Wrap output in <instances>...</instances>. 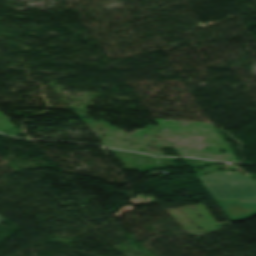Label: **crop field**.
I'll return each instance as SVG.
<instances>
[{"instance_id": "4", "label": "crop field", "mask_w": 256, "mask_h": 256, "mask_svg": "<svg viewBox=\"0 0 256 256\" xmlns=\"http://www.w3.org/2000/svg\"><path fill=\"white\" fill-rule=\"evenodd\" d=\"M256 182V181H255Z\"/></svg>"}, {"instance_id": "1", "label": "crop field", "mask_w": 256, "mask_h": 256, "mask_svg": "<svg viewBox=\"0 0 256 256\" xmlns=\"http://www.w3.org/2000/svg\"><path fill=\"white\" fill-rule=\"evenodd\" d=\"M198 178L214 200L256 198L255 184L238 172H218Z\"/></svg>"}, {"instance_id": "3", "label": "crop field", "mask_w": 256, "mask_h": 256, "mask_svg": "<svg viewBox=\"0 0 256 256\" xmlns=\"http://www.w3.org/2000/svg\"><path fill=\"white\" fill-rule=\"evenodd\" d=\"M5 221L2 217H0V224H2Z\"/></svg>"}, {"instance_id": "2", "label": "crop field", "mask_w": 256, "mask_h": 256, "mask_svg": "<svg viewBox=\"0 0 256 256\" xmlns=\"http://www.w3.org/2000/svg\"><path fill=\"white\" fill-rule=\"evenodd\" d=\"M216 203L229 220H239L256 213V199Z\"/></svg>"}]
</instances>
